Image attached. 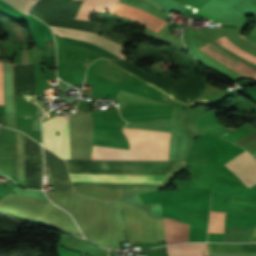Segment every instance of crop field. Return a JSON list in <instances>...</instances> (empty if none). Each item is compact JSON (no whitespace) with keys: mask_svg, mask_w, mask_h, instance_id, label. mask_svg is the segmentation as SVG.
<instances>
[{"mask_svg":"<svg viewBox=\"0 0 256 256\" xmlns=\"http://www.w3.org/2000/svg\"><path fill=\"white\" fill-rule=\"evenodd\" d=\"M128 137L97 135L94 159L158 160L160 132L125 127Z\"/></svg>","mask_w":256,"mask_h":256,"instance_id":"crop-field-1","label":"crop field"},{"mask_svg":"<svg viewBox=\"0 0 256 256\" xmlns=\"http://www.w3.org/2000/svg\"><path fill=\"white\" fill-rule=\"evenodd\" d=\"M121 68L137 76L143 81L155 86L168 94L174 100L190 105L206 88L207 77L191 75L188 80L171 79L149 73L142 68L132 65L124 60H110Z\"/></svg>","mask_w":256,"mask_h":256,"instance_id":"crop-field-2","label":"crop field"},{"mask_svg":"<svg viewBox=\"0 0 256 256\" xmlns=\"http://www.w3.org/2000/svg\"><path fill=\"white\" fill-rule=\"evenodd\" d=\"M73 182H165L169 175L70 174ZM98 184L111 189L157 188L163 183H73ZM100 186V187H101Z\"/></svg>","mask_w":256,"mask_h":256,"instance_id":"crop-field-3","label":"crop field"},{"mask_svg":"<svg viewBox=\"0 0 256 256\" xmlns=\"http://www.w3.org/2000/svg\"><path fill=\"white\" fill-rule=\"evenodd\" d=\"M214 41L218 42L219 44L226 47L230 51L234 52L235 54L241 56L242 58H244L247 61L256 65V56L239 49L237 46H235L233 43H231L226 36L216 39ZM199 49L201 51H203L204 53H206L211 58H213L214 60L218 61L219 63H221L224 66L228 67L229 69L233 70L234 72H236L240 75L256 78V70L255 69L244 64L243 62L239 61L238 59L232 57L231 55L227 54L226 52L220 50L219 48L215 47L214 45L209 43Z\"/></svg>","mask_w":256,"mask_h":256,"instance_id":"crop-field-4","label":"crop field"},{"mask_svg":"<svg viewBox=\"0 0 256 256\" xmlns=\"http://www.w3.org/2000/svg\"><path fill=\"white\" fill-rule=\"evenodd\" d=\"M68 118L56 115L43 122L44 146L63 159H70Z\"/></svg>","mask_w":256,"mask_h":256,"instance_id":"crop-field-5","label":"crop field"},{"mask_svg":"<svg viewBox=\"0 0 256 256\" xmlns=\"http://www.w3.org/2000/svg\"><path fill=\"white\" fill-rule=\"evenodd\" d=\"M39 1V0H38ZM37 1V2H38ZM37 2L35 4H37ZM54 32L58 33L59 36L63 37H70V38H76L81 39L85 41L92 42L94 44H97L101 47H104L117 55L126 58V55L122 53L124 46L107 39L105 37H102L95 33H89L84 31H78V30H72V29H65V28H58V27H52L50 26Z\"/></svg>","mask_w":256,"mask_h":256,"instance_id":"crop-field-6","label":"crop field"},{"mask_svg":"<svg viewBox=\"0 0 256 256\" xmlns=\"http://www.w3.org/2000/svg\"><path fill=\"white\" fill-rule=\"evenodd\" d=\"M111 12L131 18L149 26L150 32L153 34H155L166 23L154 15L121 3H118Z\"/></svg>","mask_w":256,"mask_h":256,"instance_id":"crop-field-7","label":"crop field"},{"mask_svg":"<svg viewBox=\"0 0 256 256\" xmlns=\"http://www.w3.org/2000/svg\"><path fill=\"white\" fill-rule=\"evenodd\" d=\"M163 222L166 244L174 243V240L175 243L187 241L189 225L180 223L176 220H172L174 234L173 240L171 219L163 218Z\"/></svg>","mask_w":256,"mask_h":256,"instance_id":"crop-field-8","label":"crop field"},{"mask_svg":"<svg viewBox=\"0 0 256 256\" xmlns=\"http://www.w3.org/2000/svg\"><path fill=\"white\" fill-rule=\"evenodd\" d=\"M203 248L204 256H209L206 244H203ZM167 252L168 256H203L200 243L169 246Z\"/></svg>","mask_w":256,"mask_h":256,"instance_id":"crop-field-9","label":"crop field"},{"mask_svg":"<svg viewBox=\"0 0 256 256\" xmlns=\"http://www.w3.org/2000/svg\"><path fill=\"white\" fill-rule=\"evenodd\" d=\"M210 252H256V244L207 243Z\"/></svg>","mask_w":256,"mask_h":256,"instance_id":"crop-field-10","label":"crop field"},{"mask_svg":"<svg viewBox=\"0 0 256 256\" xmlns=\"http://www.w3.org/2000/svg\"><path fill=\"white\" fill-rule=\"evenodd\" d=\"M18 184L25 188L24 134L18 132L17 138Z\"/></svg>","mask_w":256,"mask_h":256,"instance_id":"crop-field-11","label":"crop field"},{"mask_svg":"<svg viewBox=\"0 0 256 256\" xmlns=\"http://www.w3.org/2000/svg\"><path fill=\"white\" fill-rule=\"evenodd\" d=\"M6 1L13 4L20 11L29 14L30 13L28 10L29 5L32 4L35 0H6Z\"/></svg>","mask_w":256,"mask_h":256,"instance_id":"crop-field-12","label":"crop field"},{"mask_svg":"<svg viewBox=\"0 0 256 256\" xmlns=\"http://www.w3.org/2000/svg\"><path fill=\"white\" fill-rule=\"evenodd\" d=\"M0 104H4V100H3L2 63H0Z\"/></svg>","mask_w":256,"mask_h":256,"instance_id":"crop-field-13","label":"crop field"},{"mask_svg":"<svg viewBox=\"0 0 256 256\" xmlns=\"http://www.w3.org/2000/svg\"><path fill=\"white\" fill-rule=\"evenodd\" d=\"M197 13H199V14H201V15H203V16H205V17H207V18H209L213 21L220 22V23H226V22H224V21H222V20H220L216 17H213V16H211V15H209V14H207V13L201 11V10L197 11Z\"/></svg>","mask_w":256,"mask_h":256,"instance_id":"crop-field-14","label":"crop field"},{"mask_svg":"<svg viewBox=\"0 0 256 256\" xmlns=\"http://www.w3.org/2000/svg\"><path fill=\"white\" fill-rule=\"evenodd\" d=\"M252 156H254V157L256 158V154H254V155H252Z\"/></svg>","mask_w":256,"mask_h":256,"instance_id":"crop-field-15","label":"crop field"}]
</instances>
